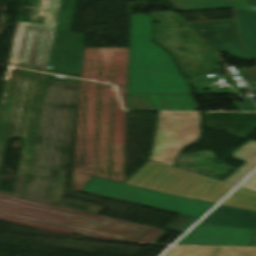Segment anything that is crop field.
<instances>
[{"instance_id": "obj_7", "label": "crop field", "mask_w": 256, "mask_h": 256, "mask_svg": "<svg viewBox=\"0 0 256 256\" xmlns=\"http://www.w3.org/2000/svg\"><path fill=\"white\" fill-rule=\"evenodd\" d=\"M77 0H62L48 71L79 77L84 34L70 33Z\"/></svg>"}, {"instance_id": "obj_4", "label": "crop field", "mask_w": 256, "mask_h": 256, "mask_svg": "<svg viewBox=\"0 0 256 256\" xmlns=\"http://www.w3.org/2000/svg\"><path fill=\"white\" fill-rule=\"evenodd\" d=\"M61 0H36L31 23L25 22L19 51L10 65L47 70Z\"/></svg>"}, {"instance_id": "obj_12", "label": "crop field", "mask_w": 256, "mask_h": 256, "mask_svg": "<svg viewBox=\"0 0 256 256\" xmlns=\"http://www.w3.org/2000/svg\"><path fill=\"white\" fill-rule=\"evenodd\" d=\"M163 256H256V248L173 246Z\"/></svg>"}, {"instance_id": "obj_3", "label": "crop field", "mask_w": 256, "mask_h": 256, "mask_svg": "<svg viewBox=\"0 0 256 256\" xmlns=\"http://www.w3.org/2000/svg\"><path fill=\"white\" fill-rule=\"evenodd\" d=\"M149 160L126 183L216 203L234 185Z\"/></svg>"}, {"instance_id": "obj_21", "label": "crop field", "mask_w": 256, "mask_h": 256, "mask_svg": "<svg viewBox=\"0 0 256 256\" xmlns=\"http://www.w3.org/2000/svg\"><path fill=\"white\" fill-rule=\"evenodd\" d=\"M241 187L256 191V172L247 181H245Z\"/></svg>"}, {"instance_id": "obj_15", "label": "crop field", "mask_w": 256, "mask_h": 256, "mask_svg": "<svg viewBox=\"0 0 256 256\" xmlns=\"http://www.w3.org/2000/svg\"><path fill=\"white\" fill-rule=\"evenodd\" d=\"M236 12L247 56L256 59V14L238 10Z\"/></svg>"}, {"instance_id": "obj_5", "label": "crop field", "mask_w": 256, "mask_h": 256, "mask_svg": "<svg viewBox=\"0 0 256 256\" xmlns=\"http://www.w3.org/2000/svg\"><path fill=\"white\" fill-rule=\"evenodd\" d=\"M84 192L200 218L213 204L158 193L93 177Z\"/></svg>"}, {"instance_id": "obj_1", "label": "crop field", "mask_w": 256, "mask_h": 256, "mask_svg": "<svg viewBox=\"0 0 256 256\" xmlns=\"http://www.w3.org/2000/svg\"><path fill=\"white\" fill-rule=\"evenodd\" d=\"M0 220L60 234L78 233L131 243H136L138 238L152 228L1 194ZM161 233L159 229L152 228L138 242L150 243L155 241Z\"/></svg>"}, {"instance_id": "obj_10", "label": "crop field", "mask_w": 256, "mask_h": 256, "mask_svg": "<svg viewBox=\"0 0 256 256\" xmlns=\"http://www.w3.org/2000/svg\"><path fill=\"white\" fill-rule=\"evenodd\" d=\"M252 229L198 224L177 244L250 246Z\"/></svg>"}, {"instance_id": "obj_20", "label": "crop field", "mask_w": 256, "mask_h": 256, "mask_svg": "<svg viewBox=\"0 0 256 256\" xmlns=\"http://www.w3.org/2000/svg\"><path fill=\"white\" fill-rule=\"evenodd\" d=\"M244 80H255L256 81V69H245L239 70Z\"/></svg>"}, {"instance_id": "obj_16", "label": "crop field", "mask_w": 256, "mask_h": 256, "mask_svg": "<svg viewBox=\"0 0 256 256\" xmlns=\"http://www.w3.org/2000/svg\"><path fill=\"white\" fill-rule=\"evenodd\" d=\"M222 204L256 211V192L238 188Z\"/></svg>"}, {"instance_id": "obj_22", "label": "crop field", "mask_w": 256, "mask_h": 256, "mask_svg": "<svg viewBox=\"0 0 256 256\" xmlns=\"http://www.w3.org/2000/svg\"><path fill=\"white\" fill-rule=\"evenodd\" d=\"M225 77H226V78L228 79V81L235 87V89H236L237 91L242 90L241 88H238V87L236 86V84L234 83L233 78H232V76H231L230 74L225 75Z\"/></svg>"}, {"instance_id": "obj_11", "label": "crop field", "mask_w": 256, "mask_h": 256, "mask_svg": "<svg viewBox=\"0 0 256 256\" xmlns=\"http://www.w3.org/2000/svg\"><path fill=\"white\" fill-rule=\"evenodd\" d=\"M200 223L256 228V212L219 205Z\"/></svg>"}, {"instance_id": "obj_2", "label": "crop field", "mask_w": 256, "mask_h": 256, "mask_svg": "<svg viewBox=\"0 0 256 256\" xmlns=\"http://www.w3.org/2000/svg\"><path fill=\"white\" fill-rule=\"evenodd\" d=\"M146 15L132 16L129 94L190 93L169 55L152 44Z\"/></svg>"}, {"instance_id": "obj_24", "label": "crop field", "mask_w": 256, "mask_h": 256, "mask_svg": "<svg viewBox=\"0 0 256 256\" xmlns=\"http://www.w3.org/2000/svg\"><path fill=\"white\" fill-rule=\"evenodd\" d=\"M246 1L253 8V10L256 12V0H246Z\"/></svg>"}, {"instance_id": "obj_17", "label": "crop field", "mask_w": 256, "mask_h": 256, "mask_svg": "<svg viewBox=\"0 0 256 256\" xmlns=\"http://www.w3.org/2000/svg\"><path fill=\"white\" fill-rule=\"evenodd\" d=\"M60 206L94 214H97L99 211L103 209L100 206L74 201L70 199H62Z\"/></svg>"}, {"instance_id": "obj_23", "label": "crop field", "mask_w": 256, "mask_h": 256, "mask_svg": "<svg viewBox=\"0 0 256 256\" xmlns=\"http://www.w3.org/2000/svg\"><path fill=\"white\" fill-rule=\"evenodd\" d=\"M251 246H256V229H253Z\"/></svg>"}, {"instance_id": "obj_18", "label": "crop field", "mask_w": 256, "mask_h": 256, "mask_svg": "<svg viewBox=\"0 0 256 256\" xmlns=\"http://www.w3.org/2000/svg\"><path fill=\"white\" fill-rule=\"evenodd\" d=\"M197 220H198V218L181 215L166 228L184 232L187 228H189Z\"/></svg>"}, {"instance_id": "obj_13", "label": "crop field", "mask_w": 256, "mask_h": 256, "mask_svg": "<svg viewBox=\"0 0 256 256\" xmlns=\"http://www.w3.org/2000/svg\"><path fill=\"white\" fill-rule=\"evenodd\" d=\"M168 1L171 2L180 11L237 8L245 11L254 12L252 8L245 2V0H168Z\"/></svg>"}, {"instance_id": "obj_14", "label": "crop field", "mask_w": 256, "mask_h": 256, "mask_svg": "<svg viewBox=\"0 0 256 256\" xmlns=\"http://www.w3.org/2000/svg\"><path fill=\"white\" fill-rule=\"evenodd\" d=\"M233 158L247 161L236 172H234L225 182L237 185L256 167V142H248L240 149L232 153Z\"/></svg>"}, {"instance_id": "obj_8", "label": "crop field", "mask_w": 256, "mask_h": 256, "mask_svg": "<svg viewBox=\"0 0 256 256\" xmlns=\"http://www.w3.org/2000/svg\"><path fill=\"white\" fill-rule=\"evenodd\" d=\"M14 70L40 74L38 72L22 70L17 68H14ZM34 81L35 79H27V78H19L18 80L7 139L24 137L29 108H30V102H31V97L33 92ZM32 140L33 138L25 137L18 175H17L13 194L0 192L1 194H6V195L21 198Z\"/></svg>"}, {"instance_id": "obj_19", "label": "crop field", "mask_w": 256, "mask_h": 256, "mask_svg": "<svg viewBox=\"0 0 256 256\" xmlns=\"http://www.w3.org/2000/svg\"><path fill=\"white\" fill-rule=\"evenodd\" d=\"M246 103L240 104L238 102H234V105L240 110V111H256L255 104L251 101L250 98L245 99Z\"/></svg>"}, {"instance_id": "obj_9", "label": "crop field", "mask_w": 256, "mask_h": 256, "mask_svg": "<svg viewBox=\"0 0 256 256\" xmlns=\"http://www.w3.org/2000/svg\"><path fill=\"white\" fill-rule=\"evenodd\" d=\"M187 24L215 51L228 53L232 57L245 61L253 60L245 56L236 20L192 22Z\"/></svg>"}, {"instance_id": "obj_6", "label": "crop field", "mask_w": 256, "mask_h": 256, "mask_svg": "<svg viewBox=\"0 0 256 256\" xmlns=\"http://www.w3.org/2000/svg\"><path fill=\"white\" fill-rule=\"evenodd\" d=\"M200 123L199 113L161 112L152 159L172 165L185 145L199 139Z\"/></svg>"}, {"instance_id": "obj_25", "label": "crop field", "mask_w": 256, "mask_h": 256, "mask_svg": "<svg viewBox=\"0 0 256 256\" xmlns=\"http://www.w3.org/2000/svg\"><path fill=\"white\" fill-rule=\"evenodd\" d=\"M251 92H252V94L256 95V90L255 91H251Z\"/></svg>"}]
</instances>
